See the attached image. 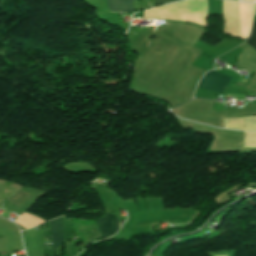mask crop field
Here are the masks:
<instances>
[{"label": "crop field", "instance_id": "crop-field-3", "mask_svg": "<svg viewBox=\"0 0 256 256\" xmlns=\"http://www.w3.org/2000/svg\"><path fill=\"white\" fill-rule=\"evenodd\" d=\"M51 226L52 237H53V256H55V249L63 243V234H62V221L61 217L48 222Z\"/></svg>", "mask_w": 256, "mask_h": 256}, {"label": "crop field", "instance_id": "crop-field-6", "mask_svg": "<svg viewBox=\"0 0 256 256\" xmlns=\"http://www.w3.org/2000/svg\"><path fill=\"white\" fill-rule=\"evenodd\" d=\"M177 0H155V5L157 4H164V3H170V2H174Z\"/></svg>", "mask_w": 256, "mask_h": 256}, {"label": "crop field", "instance_id": "crop-field-1", "mask_svg": "<svg viewBox=\"0 0 256 256\" xmlns=\"http://www.w3.org/2000/svg\"><path fill=\"white\" fill-rule=\"evenodd\" d=\"M232 78V75L210 71L204 75L198 87L223 93Z\"/></svg>", "mask_w": 256, "mask_h": 256}, {"label": "crop field", "instance_id": "crop-field-2", "mask_svg": "<svg viewBox=\"0 0 256 256\" xmlns=\"http://www.w3.org/2000/svg\"><path fill=\"white\" fill-rule=\"evenodd\" d=\"M96 223L104 238L113 235L118 229L117 219L112 214H105L104 217L98 219Z\"/></svg>", "mask_w": 256, "mask_h": 256}, {"label": "crop field", "instance_id": "crop-field-4", "mask_svg": "<svg viewBox=\"0 0 256 256\" xmlns=\"http://www.w3.org/2000/svg\"><path fill=\"white\" fill-rule=\"evenodd\" d=\"M110 11L131 12L134 0H106Z\"/></svg>", "mask_w": 256, "mask_h": 256}, {"label": "crop field", "instance_id": "crop-field-5", "mask_svg": "<svg viewBox=\"0 0 256 256\" xmlns=\"http://www.w3.org/2000/svg\"><path fill=\"white\" fill-rule=\"evenodd\" d=\"M246 42L256 50V21H253L252 33Z\"/></svg>", "mask_w": 256, "mask_h": 256}]
</instances>
